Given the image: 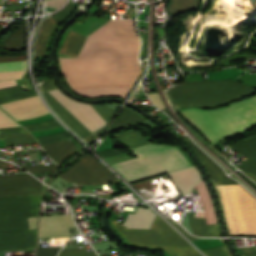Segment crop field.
I'll return each mask as SVG.
<instances>
[{"mask_svg": "<svg viewBox=\"0 0 256 256\" xmlns=\"http://www.w3.org/2000/svg\"><path fill=\"white\" fill-rule=\"evenodd\" d=\"M74 9H75L74 6L72 5V3L69 0L68 4L63 9L54 13L50 17H52L53 19L62 23Z\"/></svg>", "mask_w": 256, "mask_h": 256, "instance_id": "120bbe31", "label": "crop field"}, {"mask_svg": "<svg viewBox=\"0 0 256 256\" xmlns=\"http://www.w3.org/2000/svg\"><path fill=\"white\" fill-rule=\"evenodd\" d=\"M29 172H54L56 165L22 166Z\"/></svg>", "mask_w": 256, "mask_h": 256, "instance_id": "e1f06a70", "label": "crop field"}, {"mask_svg": "<svg viewBox=\"0 0 256 256\" xmlns=\"http://www.w3.org/2000/svg\"><path fill=\"white\" fill-rule=\"evenodd\" d=\"M0 5H1V0H0Z\"/></svg>", "mask_w": 256, "mask_h": 256, "instance_id": "9d1cf04e", "label": "crop field"}, {"mask_svg": "<svg viewBox=\"0 0 256 256\" xmlns=\"http://www.w3.org/2000/svg\"><path fill=\"white\" fill-rule=\"evenodd\" d=\"M0 139H5V146L36 142L30 133L5 134Z\"/></svg>", "mask_w": 256, "mask_h": 256, "instance_id": "ae1a2a85", "label": "crop field"}, {"mask_svg": "<svg viewBox=\"0 0 256 256\" xmlns=\"http://www.w3.org/2000/svg\"><path fill=\"white\" fill-rule=\"evenodd\" d=\"M115 137L118 138L120 141H122L131 149L141 145L151 143L148 140L142 138L135 130L125 132Z\"/></svg>", "mask_w": 256, "mask_h": 256, "instance_id": "eef30255", "label": "crop field"}, {"mask_svg": "<svg viewBox=\"0 0 256 256\" xmlns=\"http://www.w3.org/2000/svg\"><path fill=\"white\" fill-rule=\"evenodd\" d=\"M241 256H256V252L248 253V254H242Z\"/></svg>", "mask_w": 256, "mask_h": 256, "instance_id": "0fb4a251", "label": "crop field"}, {"mask_svg": "<svg viewBox=\"0 0 256 256\" xmlns=\"http://www.w3.org/2000/svg\"><path fill=\"white\" fill-rule=\"evenodd\" d=\"M85 39V37L69 31L65 41L63 40L64 43L62 42L63 45L61 44L59 53L77 57Z\"/></svg>", "mask_w": 256, "mask_h": 256, "instance_id": "dafd665d", "label": "crop field"}, {"mask_svg": "<svg viewBox=\"0 0 256 256\" xmlns=\"http://www.w3.org/2000/svg\"><path fill=\"white\" fill-rule=\"evenodd\" d=\"M230 148L246 156L249 160L236 165L244 173L256 182V135L237 143L229 145Z\"/></svg>", "mask_w": 256, "mask_h": 256, "instance_id": "22f410ed", "label": "crop field"}, {"mask_svg": "<svg viewBox=\"0 0 256 256\" xmlns=\"http://www.w3.org/2000/svg\"><path fill=\"white\" fill-rule=\"evenodd\" d=\"M39 87L42 92L49 91L56 88L52 80H46L44 83L39 85Z\"/></svg>", "mask_w": 256, "mask_h": 256, "instance_id": "03da06ac", "label": "crop field"}, {"mask_svg": "<svg viewBox=\"0 0 256 256\" xmlns=\"http://www.w3.org/2000/svg\"><path fill=\"white\" fill-rule=\"evenodd\" d=\"M195 0H170L167 7L169 14H178L193 9Z\"/></svg>", "mask_w": 256, "mask_h": 256, "instance_id": "d3111659", "label": "crop field"}, {"mask_svg": "<svg viewBox=\"0 0 256 256\" xmlns=\"http://www.w3.org/2000/svg\"><path fill=\"white\" fill-rule=\"evenodd\" d=\"M196 153L205 165L215 185L237 184L236 181L224 175L222 169L211 161L200 149H198L187 137L183 139Z\"/></svg>", "mask_w": 256, "mask_h": 256, "instance_id": "733c2abd", "label": "crop field"}, {"mask_svg": "<svg viewBox=\"0 0 256 256\" xmlns=\"http://www.w3.org/2000/svg\"><path fill=\"white\" fill-rule=\"evenodd\" d=\"M17 85L15 80L0 82V88Z\"/></svg>", "mask_w": 256, "mask_h": 256, "instance_id": "73cf0c24", "label": "crop field"}, {"mask_svg": "<svg viewBox=\"0 0 256 256\" xmlns=\"http://www.w3.org/2000/svg\"><path fill=\"white\" fill-rule=\"evenodd\" d=\"M194 188H196L198 191L201 204L205 213L207 224L217 223L215 214L213 211L210 195L204 185L203 180L200 183H198Z\"/></svg>", "mask_w": 256, "mask_h": 256, "instance_id": "00972430", "label": "crop field"}, {"mask_svg": "<svg viewBox=\"0 0 256 256\" xmlns=\"http://www.w3.org/2000/svg\"><path fill=\"white\" fill-rule=\"evenodd\" d=\"M139 43L133 21H109L87 37L77 58L59 59L60 66L78 93L124 98L140 72Z\"/></svg>", "mask_w": 256, "mask_h": 256, "instance_id": "8a807250", "label": "crop field"}, {"mask_svg": "<svg viewBox=\"0 0 256 256\" xmlns=\"http://www.w3.org/2000/svg\"><path fill=\"white\" fill-rule=\"evenodd\" d=\"M0 256H5L4 251H0Z\"/></svg>", "mask_w": 256, "mask_h": 256, "instance_id": "1d79db26", "label": "crop field"}, {"mask_svg": "<svg viewBox=\"0 0 256 256\" xmlns=\"http://www.w3.org/2000/svg\"><path fill=\"white\" fill-rule=\"evenodd\" d=\"M112 223L130 244L163 247L170 256H201L159 216H156L150 230L127 229L116 220Z\"/></svg>", "mask_w": 256, "mask_h": 256, "instance_id": "dd49c442", "label": "crop field"}, {"mask_svg": "<svg viewBox=\"0 0 256 256\" xmlns=\"http://www.w3.org/2000/svg\"><path fill=\"white\" fill-rule=\"evenodd\" d=\"M21 132H27V131H25L23 128L0 130V134H5V133H21Z\"/></svg>", "mask_w": 256, "mask_h": 256, "instance_id": "425ffa30", "label": "crop field"}, {"mask_svg": "<svg viewBox=\"0 0 256 256\" xmlns=\"http://www.w3.org/2000/svg\"><path fill=\"white\" fill-rule=\"evenodd\" d=\"M202 252L207 256H229L224 245L202 250Z\"/></svg>", "mask_w": 256, "mask_h": 256, "instance_id": "028f5c9d", "label": "crop field"}, {"mask_svg": "<svg viewBox=\"0 0 256 256\" xmlns=\"http://www.w3.org/2000/svg\"><path fill=\"white\" fill-rule=\"evenodd\" d=\"M59 175L67 183L77 182L82 185H101L120 181L100 162L86 154L70 169Z\"/></svg>", "mask_w": 256, "mask_h": 256, "instance_id": "e52e79f7", "label": "crop field"}, {"mask_svg": "<svg viewBox=\"0 0 256 256\" xmlns=\"http://www.w3.org/2000/svg\"><path fill=\"white\" fill-rule=\"evenodd\" d=\"M168 175L182 195L190 194L192 188L202 180L194 166L168 172Z\"/></svg>", "mask_w": 256, "mask_h": 256, "instance_id": "5142ce71", "label": "crop field"}, {"mask_svg": "<svg viewBox=\"0 0 256 256\" xmlns=\"http://www.w3.org/2000/svg\"><path fill=\"white\" fill-rule=\"evenodd\" d=\"M90 106L103 119V121L106 124L115 112L112 109H110L104 105H90Z\"/></svg>", "mask_w": 256, "mask_h": 256, "instance_id": "bd1437ed", "label": "crop field"}, {"mask_svg": "<svg viewBox=\"0 0 256 256\" xmlns=\"http://www.w3.org/2000/svg\"><path fill=\"white\" fill-rule=\"evenodd\" d=\"M42 147L58 166L75 150V145L68 139L42 144Z\"/></svg>", "mask_w": 256, "mask_h": 256, "instance_id": "4a817a6b", "label": "crop field"}, {"mask_svg": "<svg viewBox=\"0 0 256 256\" xmlns=\"http://www.w3.org/2000/svg\"><path fill=\"white\" fill-rule=\"evenodd\" d=\"M40 195L0 198V216L7 219L36 217Z\"/></svg>", "mask_w": 256, "mask_h": 256, "instance_id": "3316defc", "label": "crop field"}, {"mask_svg": "<svg viewBox=\"0 0 256 256\" xmlns=\"http://www.w3.org/2000/svg\"><path fill=\"white\" fill-rule=\"evenodd\" d=\"M98 153L101 155V157L103 159L108 158V157H112V156H115V155H118V154H122V153L117 152L113 149H108V150L101 151V152H98Z\"/></svg>", "mask_w": 256, "mask_h": 256, "instance_id": "b54c1fbb", "label": "crop field"}, {"mask_svg": "<svg viewBox=\"0 0 256 256\" xmlns=\"http://www.w3.org/2000/svg\"><path fill=\"white\" fill-rule=\"evenodd\" d=\"M49 93L70 113L79 119L92 133L105 126L101 118L87 104L75 102L64 96L58 89Z\"/></svg>", "mask_w": 256, "mask_h": 256, "instance_id": "5a996713", "label": "crop field"}, {"mask_svg": "<svg viewBox=\"0 0 256 256\" xmlns=\"http://www.w3.org/2000/svg\"><path fill=\"white\" fill-rule=\"evenodd\" d=\"M6 164H9L8 162H5V161H2L0 160V168H6L7 165Z\"/></svg>", "mask_w": 256, "mask_h": 256, "instance_id": "dbb93151", "label": "crop field"}, {"mask_svg": "<svg viewBox=\"0 0 256 256\" xmlns=\"http://www.w3.org/2000/svg\"><path fill=\"white\" fill-rule=\"evenodd\" d=\"M180 113L213 144L225 137L245 132L256 124V96L220 109L191 108L180 110Z\"/></svg>", "mask_w": 256, "mask_h": 256, "instance_id": "ac0d7876", "label": "crop field"}, {"mask_svg": "<svg viewBox=\"0 0 256 256\" xmlns=\"http://www.w3.org/2000/svg\"><path fill=\"white\" fill-rule=\"evenodd\" d=\"M144 120L145 119H143L139 115L135 114L134 112L124 107V109L121 111L120 115L118 116V118L116 119V121L114 122L110 130L107 132V134L123 126L131 125V124H141ZM121 123L122 125H119Z\"/></svg>", "mask_w": 256, "mask_h": 256, "instance_id": "a9b5d70f", "label": "crop field"}, {"mask_svg": "<svg viewBox=\"0 0 256 256\" xmlns=\"http://www.w3.org/2000/svg\"><path fill=\"white\" fill-rule=\"evenodd\" d=\"M132 151L138 157L112 164L129 182L190 165L175 147L149 144Z\"/></svg>", "mask_w": 256, "mask_h": 256, "instance_id": "412701ff", "label": "crop field"}, {"mask_svg": "<svg viewBox=\"0 0 256 256\" xmlns=\"http://www.w3.org/2000/svg\"><path fill=\"white\" fill-rule=\"evenodd\" d=\"M8 114L16 120L30 119L48 114L37 96L0 105Z\"/></svg>", "mask_w": 256, "mask_h": 256, "instance_id": "28ad6ade", "label": "crop field"}, {"mask_svg": "<svg viewBox=\"0 0 256 256\" xmlns=\"http://www.w3.org/2000/svg\"><path fill=\"white\" fill-rule=\"evenodd\" d=\"M30 228H35L36 218H28Z\"/></svg>", "mask_w": 256, "mask_h": 256, "instance_id": "1f2cbd36", "label": "crop field"}, {"mask_svg": "<svg viewBox=\"0 0 256 256\" xmlns=\"http://www.w3.org/2000/svg\"><path fill=\"white\" fill-rule=\"evenodd\" d=\"M25 60V56L0 57V62Z\"/></svg>", "mask_w": 256, "mask_h": 256, "instance_id": "d23c7cc5", "label": "crop field"}, {"mask_svg": "<svg viewBox=\"0 0 256 256\" xmlns=\"http://www.w3.org/2000/svg\"><path fill=\"white\" fill-rule=\"evenodd\" d=\"M26 20H24L21 26L7 38L3 46L8 49H20L24 47V35H25Z\"/></svg>", "mask_w": 256, "mask_h": 256, "instance_id": "730fd06b", "label": "crop field"}, {"mask_svg": "<svg viewBox=\"0 0 256 256\" xmlns=\"http://www.w3.org/2000/svg\"><path fill=\"white\" fill-rule=\"evenodd\" d=\"M29 228L27 218L6 220V217H0V230Z\"/></svg>", "mask_w": 256, "mask_h": 256, "instance_id": "750c4746", "label": "crop field"}, {"mask_svg": "<svg viewBox=\"0 0 256 256\" xmlns=\"http://www.w3.org/2000/svg\"><path fill=\"white\" fill-rule=\"evenodd\" d=\"M47 102L54 112L81 138L85 139L92 134L75 117H73L64 107H62L48 92L43 93Z\"/></svg>", "mask_w": 256, "mask_h": 256, "instance_id": "d9b57169", "label": "crop field"}, {"mask_svg": "<svg viewBox=\"0 0 256 256\" xmlns=\"http://www.w3.org/2000/svg\"><path fill=\"white\" fill-rule=\"evenodd\" d=\"M60 253V252H59ZM58 256H97L94 251L86 252V249L61 251Z\"/></svg>", "mask_w": 256, "mask_h": 256, "instance_id": "5866460e", "label": "crop field"}, {"mask_svg": "<svg viewBox=\"0 0 256 256\" xmlns=\"http://www.w3.org/2000/svg\"><path fill=\"white\" fill-rule=\"evenodd\" d=\"M65 0H46V7H59Z\"/></svg>", "mask_w": 256, "mask_h": 256, "instance_id": "5d738f31", "label": "crop field"}, {"mask_svg": "<svg viewBox=\"0 0 256 256\" xmlns=\"http://www.w3.org/2000/svg\"><path fill=\"white\" fill-rule=\"evenodd\" d=\"M31 96L34 95L22 90L18 86L3 88L0 89V104L13 101L14 98L18 100Z\"/></svg>", "mask_w": 256, "mask_h": 256, "instance_id": "4177f3b9", "label": "crop field"}, {"mask_svg": "<svg viewBox=\"0 0 256 256\" xmlns=\"http://www.w3.org/2000/svg\"><path fill=\"white\" fill-rule=\"evenodd\" d=\"M56 21L52 18H46L39 29L37 38H36V45H35V58L41 57L45 55L47 41L54 30V28L58 25Z\"/></svg>", "mask_w": 256, "mask_h": 256, "instance_id": "214f88e0", "label": "crop field"}, {"mask_svg": "<svg viewBox=\"0 0 256 256\" xmlns=\"http://www.w3.org/2000/svg\"><path fill=\"white\" fill-rule=\"evenodd\" d=\"M69 227H76L71 214L40 217L39 237L70 236Z\"/></svg>", "mask_w": 256, "mask_h": 256, "instance_id": "d1516ede", "label": "crop field"}, {"mask_svg": "<svg viewBox=\"0 0 256 256\" xmlns=\"http://www.w3.org/2000/svg\"><path fill=\"white\" fill-rule=\"evenodd\" d=\"M24 127L27 128L29 131H37L60 127V125L55 119H53L39 124L25 125Z\"/></svg>", "mask_w": 256, "mask_h": 256, "instance_id": "1d83c4d3", "label": "crop field"}, {"mask_svg": "<svg viewBox=\"0 0 256 256\" xmlns=\"http://www.w3.org/2000/svg\"><path fill=\"white\" fill-rule=\"evenodd\" d=\"M256 90L241 85L231 79L180 83L166 90V93L177 109L200 105L212 107L243 95L253 94Z\"/></svg>", "mask_w": 256, "mask_h": 256, "instance_id": "34b2d1b8", "label": "crop field"}, {"mask_svg": "<svg viewBox=\"0 0 256 256\" xmlns=\"http://www.w3.org/2000/svg\"><path fill=\"white\" fill-rule=\"evenodd\" d=\"M34 230L0 231V250L34 247Z\"/></svg>", "mask_w": 256, "mask_h": 256, "instance_id": "cbeb9de0", "label": "crop field"}, {"mask_svg": "<svg viewBox=\"0 0 256 256\" xmlns=\"http://www.w3.org/2000/svg\"><path fill=\"white\" fill-rule=\"evenodd\" d=\"M230 234L256 235V198L240 185L215 186Z\"/></svg>", "mask_w": 256, "mask_h": 256, "instance_id": "f4fd0767", "label": "crop field"}, {"mask_svg": "<svg viewBox=\"0 0 256 256\" xmlns=\"http://www.w3.org/2000/svg\"><path fill=\"white\" fill-rule=\"evenodd\" d=\"M26 69V61L10 62V63H1V71H11V70H22Z\"/></svg>", "mask_w": 256, "mask_h": 256, "instance_id": "d32e631a", "label": "crop field"}, {"mask_svg": "<svg viewBox=\"0 0 256 256\" xmlns=\"http://www.w3.org/2000/svg\"><path fill=\"white\" fill-rule=\"evenodd\" d=\"M15 121H13L6 113L0 110V128L18 126Z\"/></svg>", "mask_w": 256, "mask_h": 256, "instance_id": "0bd39190", "label": "crop field"}, {"mask_svg": "<svg viewBox=\"0 0 256 256\" xmlns=\"http://www.w3.org/2000/svg\"><path fill=\"white\" fill-rule=\"evenodd\" d=\"M24 71L25 70H23V71H12V72H1L0 73V81L19 78L24 73Z\"/></svg>", "mask_w": 256, "mask_h": 256, "instance_id": "b80d0937", "label": "crop field"}, {"mask_svg": "<svg viewBox=\"0 0 256 256\" xmlns=\"http://www.w3.org/2000/svg\"><path fill=\"white\" fill-rule=\"evenodd\" d=\"M189 222L191 230L196 236H221L218 225H206L205 218L191 216L189 213Z\"/></svg>", "mask_w": 256, "mask_h": 256, "instance_id": "92a150f3", "label": "crop field"}, {"mask_svg": "<svg viewBox=\"0 0 256 256\" xmlns=\"http://www.w3.org/2000/svg\"><path fill=\"white\" fill-rule=\"evenodd\" d=\"M148 97L151 99V101L159 108L166 109L165 105L162 103L158 92L154 94H149Z\"/></svg>", "mask_w": 256, "mask_h": 256, "instance_id": "c21b1889", "label": "crop field"}, {"mask_svg": "<svg viewBox=\"0 0 256 256\" xmlns=\"http://www.w3.org/2000/svg\"><path fill=\"white\" fill-rule=\"evenodd\" d=\"M155 216L156 215L153 214L149 209L141 208L138 206L135 214L127 215L123 225L128 228L149 229Z\"/></svg>", "mask_w": 256, "mask_h": 256, "instance_id": "bc2a9ffb", "label": "crop field"}, {"mask_svg": "<svg viewBox=\"0 0 256 256\" xmlns=\"http://www.w3.org/2000/svg\"><path fill=\"white\" fill-rule=\"evenodd\" d=\"M41 184L30 174L0 176V197L41 194Z\"/></svg>", "mask_w": 256, "mask_h": 256, "instance_id": "d8731c3e", "label": "crop field"}, {"mask_svg": "<svg viewBox=\"0 0 256 256\" xmlns=\"http://www.w3.org/2000/svg\"><path fill=\"white\" fill-rule=\"evenodd\" d=\"M103 130V128L97 132H95L94 134H92L91 136H89L88 138L85 139L86 142H90L92 140H94L96 137H98V135L100 134V132Z\"/></svg>", "mask_w": 256, "mask_h": 256, "instance_id": "89e229c0", "label": "crop field"}, {"mask_svg": "<svg viewBox=\"0 0 256 256\" xmlns=\"http://www.w3.org/2000/svg\"><path fill=\"white\" fill-rule=\"evenodd\" d=\"M168 219V218H167ZM170 220V219H168ZM184 235H186L191 241L196 240L197 238H194L190 235H188L177 223H175L174 221L170 220Z\"/></svg>", "mask_w": 256, "mask_h": 256, "instance_id": "25e5ab78", "label": "crop field"}, {"mask_svg": "<svg viewBox=\"0 0 256 256\" xmlns=\"http://www.w3.org/2000/svg\"><path fill=\"white\" fill-rule=\"evenodd\" d=\"M61 247L39 248L38 256H55Z\"/></svg>", "mask_w": 256, "mask_h": 256, "instance_id": "c035e120", "label": "crop field"}]
</instances>
